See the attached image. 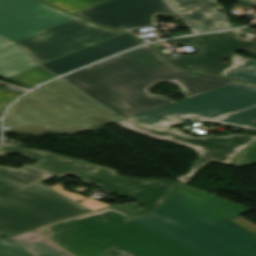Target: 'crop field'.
Wrapping results in <instances>:
<instances>
[{
    "label": "crop field",
    "mask_w": 256,
    "mask_h": 256,
    "mask_svg": "<svg viewBox=\"0 0 256 256\" xmlns=\"http://www.w3.org/2000/svg\"><path fill=\"white\" fill-rule=\"evenodd\" d=\"M231 222L243 227L244 229L256 234V225L243 219L242 217H237L235 219L230 220Z\"/></svg>",
    "instance_id": "obj_26"
},
{
    "label": "crop field",
    "mask_w": 256,
    "mask_h": 256,
    "mask_svg": "<svg viewBox=\"0 0 256 256\" xmlns=\"http://www.w3.org/2000/svg\"><path fill=\"white\" fill-rule=\"evenodd\" d=\"M20 93H15L8 90H3L0 88V115L2 111L5 109L7 104ZM14 100V99H13Z\"/></svg>",
    "instance_id": "obj_24"
},
{
    "label": "crop field",
    "mask_w": 256,
    "mask_h": 256,
    "mask_svg": "<svg viewBox=\"0 0 256 256\" xmlns=\"http://www.w3.org/2000/svg\"><path fill=\"white\" fill-rule=\"evenodd\" d=\"M249 210L183 185L147 216L105 209L41 230L76 256H256V236L228 221Z\"/></svg>",
    "instance_id": "obj_1"
},
{
    "label": "crop field",
    "mask_w": 256,
    "mask_h": 256,
    "mask_svg": "<svg viewBox=\"0 0 256 256\" xmlns=\"http://www.w3.org/2000/svg\"><path fill=\"white\" fill-rule=\"evenodd\" d=\"M9 238L34 256H70L36 230Z\"/></svg>",
    "instance_id": "obj_15"
},
{
    "label": "crop field",
    "mask_w": 256,
    "mask_h": 256,
    "mask_svg": "<svg viewBox=\"0 0 256 256\" xmlns=\"http://www.w3.org/2000/svg\"><path fill=\"white\" fill-rule=\"evenodd\" d=\"M85 205H87L88 207L92 208V209H99V208H103V207H107L109 206L108 204H105L103 202L94 200L92 198H90L88 201H86L85 203H83Z\"/></svg>",
    "instance_id": "obj_28"
},
{
    "label": "crop field",
    "mask_w": 256,
    "mask_h": 256,
    "mask_svg": "<svg viewBox=\"0 0 256 256\" xmlns=\"http://www.w3.org/2000/svg\"><path fill=\"white\" fill-rule=\"evenodd\" d=\"M152 45L160 54L161 56L172 63L173 65L188 71H197V72H204L209 74H216L220 75L223 68L225 67L222 62L223 58H220L218 56H214L210 53L201 51L200 53L196 55H190V56H183L180 58H177L175 60L168 58L161 52L159 47L164 45H159L158 43H152Z\"/></svg>",
    "instance_id": "obj_14"
},
{
    "label": "crop field",
    "mask_w": 256,
    "mask_h": 256,
    "mask_svg": "<svg viewBox=\"0 0 256 256\" xmlns=\"http://www.w3.org/2000/svg\"><path fill=\"white\" fill-rule=\"evenodd\" d=\"M54 7L73 13L88 6L101 3L107 0H44Z\"/></svg>",
    "instance_id": "obj_20"
},
{
    "label": "crop field",
    "mask_w": 256,
    "mask_h": 256,
    "mask_svg": "<svg viewBox=\"0 0 256 256\" xmlns=\"http://www.w3.org/2000/svg\"><path fill=\"white\" fill-rule=\"evenodd\" d=\"M118 34L39 0H0V35L18 44L38 66Z\"/></svg>",
    "instance_id": "obj_3"
},
{
    "label": "crop field",
    "mask_w": 256,
    "mask_h": 256,
    "mask_svg": "<svg viewBox=\"0 0 256 256\" xmlns=\"http://www.w3.org/2000/svg\"><path fill=\"white\" fill-rule=\"evenodd\" d=\"M116 124L143 135L175 143H183L193 148L198 153L199 157L193 163L189 174L177 178L184 184L188 182L194 173L208 161L230 164L236 154L256 140V136H244L239 134L194 138L182 134L179 130L175 129L157 128L127 123L124 121Z\"/></svg>",
    "instance_id": "obj_8"
},
{
    "label": "crop field",
    "mask_w": 256,
    "mask_h": 256,
    "mask_svg": "<svg viewBox=\"0 0 256 256\" xmlns=\"http://www.w3.org/2000/svg\"><path fill=\"white\" fill-rule=\"evenodd\" d=\"M167 5L163 0H111L75 14L104 27L131 33L134 28L156 26L158 14L179 23L178 16Z\"/></svg>",
    "instance_id": "obj_9"
},
{
    "label": "crop field",
    "mask_w": 256,
    "mask_h": 256,
    "mask_svg": "<svg viewBox=\"0 0 256 256\" xmlns=\"http://www.w3.org/2000/svg\"><path fill=\"white\" fill-rule=\"evenodd\" d=\"M256 162V143L239 154L232 165L245 166Z\"/></svg>",
    "instance_id": "obj_22"
},
{
    "label": "crop field",
    "mask_w": 256,
    "mask_h": 256,
    "mask_svg": "<svg viewBox=\"0 0 256 256\" xmlns=\"http://www.w3.org/2000/svg\"><path fill=\"white\" fill-rule=\"evenodd\" d=\"M172 5L178 10H183L207 0H169Z\"/></svg>",
    "instance_id": "obj_25"
},
{
    "label": "crop field",
    "mask_w": 256,
    "mask_h": 256,
    "mask_svg": "<svg viewBox=\"0 0 256 256\" xmlns=\"http://www.w3.org/2000/svg\"><path fill=\"white\" fill-rule=\"evenodd\" d=\"M14 152L39 161L32 166L34 168L44 170L59 177L75 175L80 177L85 183L99 185L109 191L126 195L145 203V207L141 211H136L125 205L111 206L128 213L130 216L148 213L162 203L171 187L181 185L160 179L121 177L117 175V172L107 167H100L84 160L63 157L51 152L25 149L4 141L0 147V154L7 155Z\"/></svg>",
    "instance_id": "obj_5"
},
{
    "label": "crop field",
    "mask_w": 256,
    "mask_h": 256,
    "mask_svg": "<svg viewBox=\"0 0 256 256\" xmlns=\"http://www.w3.org/2000/svg\"><path fill=\"white\" fill-rule=\"evenodd\" d=\"M139 44H142V42L129 35L121 34L103 43L95 44L60 59L41 65V67L58 76L90 62L111 56Z\"/></svg>",
    "instance_id": "obj_10"
},
{
    "label": "crop field",
    "mask_w": 256,
    "mask_h": 256,
    "mask_svg": "<svg viewBox=\"0 0 256 256\" xmlns=\"http://www.w3.org/2000/svg\"><path fill=\"white\" fill-rule=\"evenodd\" d=\"M243 2L246 5L255 6L256 7V0H237Z\"/></svg>",
    "instance_id": "obj_29"
},
{
    "label": "crop field",
    "mask_w": 256,
    "mask_h": 256,
    "mask_svg": "<svg viewBox=\"0 0 256 256\" xmlns=\"http://www.w3.org/2000/svg\"><path fill=\"white\" fill-rule=\"evenodd\" d=\"M0 256H33L8 238L0 239Z\"/></svg>",
    "instance_id": "obj_21"
},
{
    "label": "crop field",
    "mask_w": 256,
    "mask_h": 256,
    "mask_svg": "<svg viewBox=\"0 0 256 256\" xmlns=\"http://www.w3.org/2000/svg\"><path fill=\"white\" fill-rule=\"evenodd\" d=\"M233 65L221 73L220 76L233 78L256 84V60L233 55Z\"/></svg>",
    "instance_id": "obj_17"
},
{
    "label": "crop field",
    "mask_w": 256,
    "mask_h": 256,
    "mask_svg": "<svg viewBox=\"0 0 256 256\" xmlns=\"http://www.w3.org/2000/svg\"><path fill=\"white\" fill-rule=\"evenodd\" d=\"M0 177L14 184L21 190H25L47 178L54 176L44 174L27 166L16 170L0 166Z\"/></svg>",
    "instance_id": "obj_16"
},
{
    "label": "crop field",
    "mask_w": 256,
    "mask_h": 256,
    "mask_svg": "<svg viewBox=\"0 0 256 256\" xmlns=\"http://www.w3.org/2000/svg\"><path fill=\"white\" fill-rule=\"evenodd\" d=\"M218 10L224 9L216 0H210L182 11L180 14L198 33L230 28L226 12L220 14ZM205 12H209L210 15H204Z\"/></svg>",
    "instance_id": "obj_12"
},
{
    "label": "crop field",
    "mask_w": 256,
    "mask_h": 256,
    "mask_svg": "<svg viewBox=\"0 0 256 256\" xmlns=\"http://www.w3.org/2000/svg\"><path fill=\"white\" fill-rule=\"evenodd\" d=\"M62 79L123 119L173 103L164 95L149 93V88L165 81L181 86L188 98L235 82L182 72L147 45Z\"/></svg>",
    "instance_id": "obj_2"
},
{
    "label": "crop field",
    "mask_w": 256,
    "mask_h": 256,
    "mask_svg": "<svg viewBox=\"0 0 256 256\" xmlns=\"http://www.w3.org/2000/svg\"><path fill=\"white\" fill-rule=\"evenodd\" d=\"M118 120V117L63 81L53 80L11 108L5 118V126L10 129L4 130V134H79Z\"/></svg>",
    "instance_id": "obj_4"
},
{
    "label": "crop field",
    "mask_w": 256,
    "mask_h": 256,
    "mask_svg": "<svg viewBox=\"0 0 256 256\" xmlns=\"http://www.w3.org/2000/svg\"><path fill=\"white\" fill-rule=\"evenodd\" d=\"M175 41L187 43L197 49L205 50L226 59H230L233 53L240 49L256 51V42L238 40L235 31L175 39Z\"/></svg>",
    "instance_id": "obj_11"
},
{
    "label": "crop field",
    "mask_w": 256,
    "mask_h": 256,
    "mask_svg": "<svg viewBox=\"0 0 256 256\" xmlns=\"http://www.w3.org/2000/svg\"><path fill=\"white\" fill-rule=\"evenodd\" d=\"M212 122L256 131V107Z\"/></svg>",
    "instance_id": "obj_18"
},
{
    "label": "crop field",
    "mask_w": 256,
    "mask_h": 256,
    "mask_svg": "<svg viewBox=\"0 0 256 256\" xmlns=\"http://www.w3.org/2000/svg\"><path fill=\"white\" fill-rule=\"evenodd\" d=\"M55 76L51 75L50 73L46 72L41 67H35L27 72L19 74L17 76L9 78L10 80L16 81L26 87H33L36 84L49 80Z\"/></svg>",
    "instance_id": "obj_19"
},
{
    "label": "crop field",
    "mask_w": 256,
    "mask_h": 256,
    "mask_svg": "<svg viewBox=\"0 0 256 256\" xmlns=\"http://www.w3.org/2000/svg\"><path fill=\"white\" fill-rule=\"evenodd\" d=\"M14 185L0 179V201L20 192Z\"/></svg>",
    "instance_id": "obj_23"
},
{
    "label": "crop field",
    "mask_w": 256,
    "mask_h": 256,
    "mask_svg": "<svg viewBox=\"0 0 256 256\" xmlns=\"http://www.w3.org/2000/svg\"><path fill=\"white\" fill-rule=\"evenodd\" d=\"M62 183H64V182H60V183H58V184H56V185H54V186H52V187H53L54 189H56V190H58V191L64 193V194H66V195H68V196L74 198V199L77 200V201L86 199V197L79 196V195H76V194H72V193H70V192H68V191H63L64 187L61 186Z\"/></svg>",
    "instance_id": "obj_27"
},
{
    "label": "crop field",
    "mask_w": 256,
    "mask_h": 256,
    "mask_svg": "<svg viewBox=\"0 0 256 256\" xmlns=\"http://www.w3.org/2000/svg\"><path fill=\"white\" fill-rule=\"evenodd\" d=\"M91 212L39 183L0 202V237Z\"/></svg>",
    "instance_id": "obj_6"
},
{
    "label": "crop field",
    "mask_w": 256,
    "mask_h": 256,
    "mask_svg": "<svg viewBox=\"0 0 256 256\" xmlns=\"http://www.w3.org/2000/svg\"><path fill=\"white\" fill-rule=\"evenodd\" d=\"M166 42L172 43V44H174V45H177V44H182V43H178V42H175V41H170V40H168V41H166Z\"/></svg>",
    "instance_id": "obj_30"
},
{
    "label": "crop field",
    "mask_w": 256,
    "mask_h": 256,
    "mask_svg": "<svg viewBox=\"0 0 256 256\" xmlns=\"http://www.w3.org/2000/svg\"><path fill=\"white\" fill-rule=\"evenodd\" d=\"M253 105H256V85L237 82L125 120L170 127L189 120L209 121ZM159 115L168 120L156 119Z\"/></svg>",
    "instance_id": "obj_7"
},
{
    "label": "crop field",
    "mask_w": 256,
    "mask_h": 256,
    "mask_svg": "<svg viewBox=\"0 0 256 256\" xmlns=\"http://www.w3.org/2000/svg\"><path fill=\"white\" fill-rule=\"evenodd\" d=\"M35 66L19 46L0 36V78H9Z\"/></svg>",
    "instance_id": "obj_13"
}]
</instances>
